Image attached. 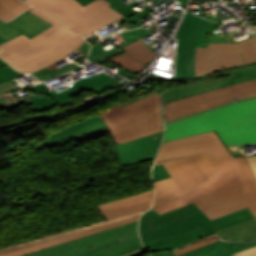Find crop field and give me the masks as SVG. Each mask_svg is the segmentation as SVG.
Here are the masks:
<instances>
[{"label":"crop field","instance_id":"crop-field-35","mask_svg":"<svg viewBox=\"0 0 256 256\" xmlns=\"http://www.w3.org/2000/svg\"><path fill=\"white\" fill-rule=\"evenodd\" d=\"M214 25L215 23L207 21V23L205 24V26L203 27L200 33L196 46H205V47L207 46Z\"/></svg>","mask_w":256,"mask_h":256},{"label":"crop field","instance_id":"crop-field-3","mask_svg":"<svg viewBox=\"0 0 256 256\" xmlns=\"http://www.w3.org/2000/svg\"><path fill=\"white\" fill-rule=\"evenodd\" d=\"M212 130L225 145L256 142V99L167 123L163 142Z\"/></svg>","mask_w":256,"mask_h":256},{"label":"crop field","instance_id":"crop-field-19","mask_svg":"<svg viewBox=\"0 0 256 256\" xmlns=\"http://www.w3.org/2000/svg\"><path fill=\"white\" fill-rule=\"evenodd\" d=\"M141 248L143 246L136 231L101 246L89 248L69 256H121Z\"/></svg>","mask_w":256,"mask_h":256},{"label":"crop field","instance_id":"crop-field-20","mask_svg":"<svg viewBox=\"0 0 256 256\" xmlns=\"http://www.w3.org/2000/svg\"><path fill=\"white\" fill-rule=\"evenodd\" d=\"M187 156H190L192 158V160L197 164V166L201 169V171L206 175L207 178L211 177L214 173L220 171L229 162L233 160V157L228 151V149L187 155ZM187 156L158 160L155 163L187 157Z\"/></svg>","mask_w":256,"mask_h":256},{"label":"crop field","instance_id":"crop-field-24","mask_svg":"<svg viewBox=\"0 0 256 256\" xmlns=\"http://www.w3.org/2000/svg\"><path fill=\"white\" fill-rule=\"evenodd\" d=\"M139 216L140 215L134 216V217H131V218H128V219H125V220H121V221H118V222H115V223H112V224H109V225H105V226H102V227H98V228H95V229H91V230H87V231H84V232L73 234V235H70V236H67V237H63V238H60V239H57V240H53V241H50V242H47V243H43V244L35 245V246H32V247H28V248H25V249H22V250H19V251H15V252H12V253H9V254H6V255H2V256H21V255H24V254H28V253H31L33 251H36V250H39V249H42V248H46V247H50V246L58 244V243L78 239V238H81V237H84V236H87V235H90V234H93V233H96V232H99V231H102V230H105V229H109V228H112V227H115V226H119V225H122V224H125V223H128V222L137 220L139 218Z\"/></svg>","mask_w":256,"mask_h":256},{"label":"crop field","instance_id":"crop-field-1","mask_svg":"<svg viewBox=\"0 0 256 256\" xmlns=\"http://www.w3.org/2000/svg\"><path fill=\"white\" fill-rule=\"evenodd\" d=\"M206 196L200 188L180 199L155 207L140 218L142 241L185 233L200 227L204 237L215 230L252 219L246 209L211 221L193 202Z\"/></svg>","mask_w":256,"mask_h":256},{"label":"crop field","instance_id":"crop-field-51","mask_svg":"<svg viewBox=\"0 0 256 256\" xmlns=\"http://www.w3.org/2000/svg\"><path fill=\"white\" fill-rule=\"evenodd\" d=\"M178 1H182V2H181V5H182L183 8L186 7L187 2H188V0H178Z\"/></svg>","mask_w":256,"mask_h":256},{"label":"crop field","instance_id":"crop-field-17","mask_svg":"<svg viewBox=\"0 0 256 256\" xmlns=\"http://www.w3.org/2000/svg\"><path fill=\"white\" fill-rule=\"evenodd\" d=\"M51 25L27 10L9 23L0 20V34L8 40L21 33L31 38Z\"/></svg>","mask_w":256,"mask_h":256},{"label":"crop field","instance_id":"crop-field-28","mask_svg":"<svg viewBox=\"0 0 256 256\" xmlns=\"http://www.w3.org/2000/svg\"><path fill=\"white\" fill-rule=\"evenodd\" d=\"M30 7L20 0H0V19L9 21Z\"/></svg>","mask_w":256,"mask_h":256},{"label":"crop field","instance_id":"crop-field-23","mask_svg":"<svg viewBox=\"0 0 256 256\" xmlns=\"http://www.w3.org/2000/svg\"><path fill=\"white\" fill-rule=\"evenodd\" d=\"M247 210L254 219L217 230V234L222 239L229 241H256V217L249 208Z\"/></svg>","mask_w":256,"mask_h":256},{"label":"crop field","instance_id":"crop-field-52","mask_svg":"<svg viewBox=\"0 0 256 256\" xmlns=\"http://www.w3.org/2000/svg\"><path fill=\"white\" fill-rule=\"evenodd\" d=\"M5 41H7V40L0 35V44L5 42Z\"/></svg>","mask_w":256,"mask_h":256},{"label":"crop field","instance_id":"crop-field-6","mask_svg":"<svg viewBox=\"0 0 256 256\" xmlns=\"http://www.w3.org/2000/svg\"><path fill=\"white\" fill-rule=\"evenodd\" d=\"M24 1L77 29L83 37L94 34L93 30L124 17L108 7L107 5L110 3L105 0H96L84 7L76 0Z\"/></svg>","mask_w":256,"mask_h":256},{"label":"crop field","instance_id":"crop-field-46","mask_svg":"<svg viewBox=\"0 0 256 256\" xmlns=\"http://www.w3.org/2000/svg\"><path fill=\"white\" fill-rule=\"evenodd\" d=\"M247 158H248V161H249L253 171L256 174V156H248Z\"/></svg>","mask_w":256,"mask_h":256},{"label":"crop field","instance_id":"crop-field-27","mask_svg":"<svg viewBox=\"0 0 256 256\" xmlns=\"http://www.w3.org/2000/svg\"><path fill=\"white\" fill-rule=\"evenodd\" d=\"M154 196V189L145 191L139 194H135L129 197H125L116 201H112L106 204L97 206L100 212L104 213L107 211L115 210L118 208L126 207L129 205L141 203L144 201L152 200Z\"/></svg>","mask_w":256,"mask_h":256},{"label":"crop field","instance_id":"crop-field-8","mask_svg":"<svg viewBox=\"0 0 256 256\" xmlns=\"http://www.w3.org/2000/svg\"><path fill=\"white\" fill-rule=\"evenodd\" d=\"M251 96H256V80L168 102L164 104L165 121Z\"/></svg>","mask_w":256,"mask_h":256},{"label":"crop field","instance_id":"crop-field-55","mask_svg":"<svg viewBox=\"0 0 256 256\" xmlns=\"http://www.w3.org/2000/svg\"><path fill=\"white\" fill-rule=\"evenodd\" d=\"M246 1H250V0H246Z\"/></svg>","mask_w":256,"mask_h":256},{"label":"crop field","instance_id":"crop-field-4","mask_svg":"<svg viewBox=\"0 0 256 256\" xmlns=\"http://www.w3.org/2000/svg\"><path fill=\"white\" fill-rule=\"evenodd\" d=\"M100 115L116 145L164 130L162 101L158 91L124 106L118 103Z\"/></svg>","mask_w":256,"mask_h":256},{"label":"crop field","instance_id":"crop-field-12","mask_svg":"<svg viewBox=\"0 0 256 256\" xmlns=\"http://www.w3.org/2000/svg\"><path fill=\"white\" fill-rule=\"evenodd\" d=\"M224 148L223 142L212 131L163 143L156 160Z\"/></svg>","mask_w":256,"mask_h":256},{"label":"crop field","instance_id":"crop-field-16","mask_svg":"<svg viewBox=\"0 0 256 256\" xmlns=\"http://www.w3.org/2000/svg\"><path fill=\"white\" fill-rule=\"evenodd\" d=\"M159 164L164 165L182 192L207 179L190 157L157 163L155 165Z\"/></svg>","mask_w":256,"mask_h":256},{"label":"crop field","instance_id":"crop-field-26","mask_svg":"<svg viewBox=\"0 0 256 256\" xmlns=\"http://www.w3.org/2000/svg\"><path fill=\"white\" fill-rule=\"evenodd\" d=\"M105 127H106L105 124L103 123V121H101V122H98V123H95V124H92V125H89V126H86V127H83V128H80V129H77V130H74V131H71L68 133H65V134L58 136L54 139H51L47 142L41 143L33 148L38 150L47 145L50 149H52L68 140L74 139L78 136H81V135H84V134H87V133H90V132H93V131H96V130H99V129H102Z\"/></svg>","mask_w":256,"mask_h":256},{"label":"crop field","instance_id":"crop-field-34","mask_svg":"<svg viewBox=\"0 0 256 256\" xmlns=\"http://www.w3.org/2000/svg\"><path fill=\"white\" fill-rule=\"evenodd\" d=\"M23 75L24 73L15 72L6 63L0 60V83Z\"/></svg>","mask_w":256,"mask_h":256},{"label":"crop field","instance_id":"crop-field-32","mask_svg":"<svg viewBox=\"0 0 256 256\" xmlns=\"http://www.w3.org/2000/svg\"><path fill=\"white\" fill-rule=\"evenodd\" d=\"M101 120L102 119H101L100 115H98V116H95V117H92V118H89V119L77 122V123H75V124H73V125H71L69 127L63 128L61 130H58V131H55V132L49 134L44 141H47V140H49L51 138H54V137H56L58 135H61V134L65 133V132H68V131H71V130H74V129H77V128H80V127H83V126H86V125H89V124L101 121Z\"/></svg>","mask_w":256,"mask_h":256},{"label":"crop field","instance_id":"crop-field-31","mask_svg":"<svg viewBox=\"0 0 256 256\" xmlns=\"http://www.w3.org/2000/svg\"><path fill=\"white\" fill-rule=\"evenodd\" d=\"M152 201H148V202L133 205L130 207L107 212V213H104V216L107 218V220H109V219L117 218V217L124 216L127 214L135 213L138 211L146 210V209L150 208Z\"/></svg>","mask_w":256,"mask_h":256},{"label":"crop field","instance_id":"crop-field-25","mask_svg":"<svg viewBox=\"0 0 256 256\" xmlns=\"http://www.w3.org/2000/svg\"><path fill=\"white\" fill-rule=\"evenodd\" d=\"M143 212L144 211L138 212V213H135V214H131V215H128V216L120 217V218H117V219L105 221V222H100V223H95V224H90V225H86V226H83V227L75 228V229H72L70 231L54 234L52 236L42 237V238H39V239L34 240V241H30V242H26V243H21V244L9 246V247L1 248L0 249V255L9 253V252H12V251H15V250H19V249H22V248H25V247H28V246H32V245H35V244H38V243L50 241V240L57 239V238H60V237H63V236H67V235H70V234H73V233L84 231V230H87V229H91V228H95V227L102 226V225H105V224H109V223H112V222H115V221H118V220H121V219H125V218H128V217L134 216V215L141 214Z\"/></svg>","mask_w":256,"mask_h":256},{"label":"crop field","instance_id":"crop-field-15","mask_svg":"<svg viewBox=\"0 0 256 256\" xmlns=\"http://www.w3.org/2000/svg\"><path fill=\"white\" fill-rule=\"evenodd\" d=\"M239 175L237 168L235 166L234 161H232L230 164H228L224 169H222L220 172L217 174L213 175L211 178L205 180L203 183L200 185L189 189L185 192H181V190L178 188V186L175 184V182L170 179H166L163 181L155 182V190H156V196L155 198L162 196L166 193H169L173 191L178 197H181L199 187H201L205 193L208 195L220 186L224 185L234 177Z\"/></svg>","mask_w":256,"mask_h":256},{"label":"crop field","instance_id":"crop-field-43","mask_svg":"<svg viewBox=\"0 0 256 256\" xmlns=\"http://www.w3.org/2000/svg\"><path fill=\"white\" fill-rule=\"evenodd\" d=\"M119 70H120V71H119L118 73H120V74H122V75L128 77V78L131 79V80L137 75V73L132 72V71H130V70H128V69H125V68H123V69L120 68Z\"/></svg>","mask_w":256,"mask_h":256},{"label":"crop field","instance_id":"crop-field-33","mask_svg":"<svg viewBox=\"0 0 256 256\" xmlns=\"http://www.w3.org/2000/svg\"><path fill=\"white\" fill-rule=\"evenodd\" d=\"M219 240V237L217 236H212V237H208V238H204L202 240H199L193 244H190L188 246H185L181 249H178V250H175V251H172L174 254H176L177 256L181 255V254H184L186 252H189L191 250H194L196 248H199V247H202L204 245H207L209 243H212L214 241H217Z\"/></svg>","mask_w":256,"mask_h":256},{"label":"crop field","instance_id":"crop-field-21","mask_svg":"<svg viewBox=\"0 0 256 256\" xmlns=\"http://www.w3.org/2000/svg\"><path fill=\"white\" fill-rule=\"evenodd\" d=\"M203 238L200 229L190 231L185 234L169 236L144 242L145 248L152 252L174 250L190 242Z\"/></svg>","mask_w":256,"mask_h":256},{"label":"crop field","instance_id":"crop-field-45","mask_svg":"<svg viewBox=\"0 0 256 256\" xmlns=\"http://www.w3.org/2000/svg\"><path fill=\"white\" fill-rule=\"evenodd\" d=\"M256 245V244H255ZM252 246H254V245H252ZM252 246H250V247H252ZM247 248H249V247H247ZM244 249H246V248H244ZM241 250H243V249H241ZM240 251V250H239ZM236 252H238V251H236ZM236 252H233V253H231V254H234V253H236ZM231 254H228V255H225V256H229V255H231ZM152 256H175L172 252H165V253H156V254H153Z\"/></svg>","mask_w":256,"mask_h":256},{"label":"crop field","instance_id":"crop-field-38","mask_svg":"<svg viewBox=\"0 0 256 256\" xmlns=\"http://www.w3.org/2000/svg\"><path fill=\"white\" fill-rule=\"evenodd\" d=\"M224 242H225V241L219 240V241H217V242H214V243H212V244H209V245L204 246V247H202V248L196 249V250H194V251H191V252L186 253V254L181 255V256H193V255H196V254H198V253H200V252H203V251H205V250H207V249H210V248H212V247H214V246H217V245H219V244H222V243H224Z\"/></svg>","mask_w":256,"mask_h":256},{"label":"crop field","instance_id":"crop-field-48","mask_svg":"<svg viewBox=\"0 0 256 256\" xmlns=\"http://www.w3.org/2000/svg\"><path fill=\"white\" fill-rule=\"evenodd\" d=\"M251 98H256V97H251ZM247 99H250V98H247ZM243 100H245V99H243ZM240 101V100H239ZM230 103H234V101H232V102H230ZM230 103H227V104H230ZM227 104H223V105H220V106H216V107H213V108H210V109H214V108H218V107H221V106H224V105H227ZM210 109H207V110H210ZM207 110H204V111H207ZM201 112H203V111H201ZM201 112H198V113H195V114H199V113H201ZM195 114H192V115H195ZM188 116H191V115H188ZM185 117H187V116H185ZM181 118H183V117H181ZM179 119V118H178ZM174 120H176V119H174ZM171 121H173V120H171ZM167 122H170V121H167ZM167 122H165V123H167Z\"/></svg>","mask_w":256,"mask_h":256},{"label":"crop field","instance_id":"crop-field-49","mask_svg":"<svg viewBox=\"0 0 256 256\" xmlns=\"http://www.w3.org/2000/svg\"><path fill=\"white\" fill-rule=\"evenodd\" d=\"M145 253V250L144 249H141V250H139V251H136V252H134V253H132V254H128V255H126V256H140V255H142V254H144Z\"/></svg>","mask_w":256,"mask_h":256},{"label":"crop field","instance_id":"crop-field-37","mask_svg":"<svg viewBox=\"0 0 256 256\" xmlns=\"http://www.w3.org/2000/svg\"><path fill=\"white\" fill-rule=\"evenodd\" d=\"M249 145H256V143H254V144H243V145H240L239 148L235 147L237 145H231V146H226V147L229 149V151L231 152L233 157H237V156H243L242 153H245L244 146H249Z\"/></svg>","mask_w":256,"mask_h":256},{"label":"crop field","instance_id":"crop-field-47","mask_svg":"<svg viewBox=\"0 0 256 256\" xmlns=\"http://www.w3.org/2000/svg\"><path fill=\"white\" fill-rule=\"evenodd\" d=\"M225 37H226L225 35H223V36L211 37L209 42H227V41L225 40Z\"/></svg>","mask_w":256,"mask_h":256},{"label":"crop field","instance_id":"crop-field-54","mask_svg":"<svg viewBox=\"0 0 256 256\" xmlns=\"http://www.w3.org/2000/svg\"><path fill=\"white\" fill-rule=\"evenodd\" d=\"M253 15H256V13H254Z\"/></svg>","mask_w":256,"mask_h":256},{"label":"crop field","instance_id":"crop-field-5","mask_svg":"<svg viewBox=\"0 0 256 256\" xmlns=\"http://www.w3.org/2000/svg\"><path fill=\"white\" fill-rule=\"evenodd\" d=\"M239 176L195 204L211 219L249 207L256 216V177L246 157L234 158Z\"/></svg>","mask_w":256,"mask_h":256},{"label":"crop field","instance_id":"crop-field-11","mask_svg":"<svg viewBox=\"0 0 256 256\" xmlns=\"http://www.w3.org/2000/svg\"><path fill=\"white\" fill-rule=\"evenodd\" d=\"M137 226H138V220L116 227V228L102 231L78 240L58 244L47 249L39 250L34 253H31L28 255L24 254V255L25 256H66L89 247L101 245L115 238L134 232L137 230Z\"/></svg>","mask_w":256,"mask_h":256},{"label":"crop field","instance_id":"crop-field-53","mask_svg":"<svg viewBox=\"0 0 256 256\" xmlns=\"http://www.w3.org/2000/svg\"><path fill=\"white\" fill-rule=\"evenodd\" d=\"M252 25V24H251ZM256 29V25H252Z\"/></svg>","mask_w":256,"mask_h":256},{"label":"crop field","instance_id":"crop-field-40","mask_svg":"<svg viewBox=\"0 0 256 256\" xmlns=\"http://www.w3.org/2000/svg\"><path fill=\"white\" fill-rule=\"evenodd\" d=\"M232 256H256V246L240 251Z\"/></svg>","mask_w":256,"mask_h":256},{"label":"crop field","instance_id":"crop-field-14","mask_svg":"<svg viewBox=\"0 0 256 256\" xmlns=\"http://www.w3.org/2000/svg\"><path fill=\"white\" fill-rule=\"evenodd\" d=\"M163 131L116 146L122 165L152 160L159 148Z\"/></svg>","mask_w":256,"mask_h":256},{"label":"crop field","instance_id":"crop-field-10","mask_svg":"<svg viewBox=\"0 0 256 256\" xmlns=\"http://www.w3.org/2000/svg\"><path fill=\"white\" fill-rule=\"evenodd\" d=\"M226 75L229 74L230 77L212 80L208 82L199 81L190 83L188 85L171 89L163 94L164 103L168 101H173L179 98L188 97L194 94L234 85L237 83L245 82L248 80L256 79V64L221 72L215 75ZM226 82V84H225Z\"/></svg>","mask_w":256,"mask_h":256},{"label":"crop field","instance_id":"crop-field-56","mask_svg":"<svg viewBox=\"0 0 256 256\" xmlns=\"http://www.w3.org/2000/svg\"><path fill=\"white\" fill-rule=\"evenodd\" d=\"M148 256H150V255H148Z\"/></svg>","mask_w":256,"mask_h":256},{"label":"crop field","instance_id":"crop-field-2","mask_svg":"<svg viewBox=\"0 0 256 256\" xmlns=\"http://www.w3.org/2000/svg\"><path fill=\"white\" fill-rule=\"evenodd\" d=\"M28 10L54 25L31 39L22 34L0 45V57L16 70L37 71L67 57L85 41L74 29L35 8Z\"/></svg>","mask_w":256,"mask_h":256},{"label":"crop field","instance_id":"crop-field-41","mask_svg":"<svg viewBox=\"0 0 256 256\" xmlns=\"http://www.w3.org/2000/svg\"><path fill=\"white\" fill-rule=\"evenodd\" d=\"M90 45L85 41L79 48L80 50L78 53H80V57H87L88 52H89Z\"/></svg>","mask_w":256,"mask_h":256},{"label":"crop field","instance_id":"crop-field-30","mask_svg":"<svg viewBox=\"0 0 256 256\" xmlns=\"http://www.w3.org/2000/svg\"><path fill=\"white\" fill-rule=\"evenodd\" d=\"M70 67H71V69H75V68H78V67H80V66H78V65H76V64H74V63H70V65L67 64V65L62 66V67H60V68H57V67L55 66V64H52V65H50V66H48V67H46V68H43V69H41V70H39V71H37V72H34V73H32V74H33L35 77H37L39 80L44 81V80H46V79H49V78H52V77L57 76V75H59V74L65 73V72H67V71H70V70L68 69V68H70Z\"/></svg>","mask_w":256,"mask_h":256},{"label":"crop field","instance_id":"crop-field-9","mask_svg":"<svg viewBox=\"0 0 256 256\" xmlns=\"http://www.w3.org/2000/svg\"><path fill=\"white\" fill-rule=\"evenodd\" d=\"M205 23L206 20L187 12L176 36L180 39L177 46L176 77L196 76L194 72L195 45Z\"/></svg>","mask_w":256,"mask_h":256},{"label":"crop field","instance_id":"crop-field-22","mask_svg":"<svg viewBox=\"0 0 256 256\" xmlns=\"http://www.w3.org/2000/svg\"><path fill=\"white\" fill-rule=\"evenodd\" d=\"M149 33H151L150 31L144 29V28H141V29H136V30H132V31H129V32H125V33H122L120 34L123 39L126 41L118 46H115L109 50H105L103 47L109 45V43L107 44H104V45H100L98 42L94 43L93 47H92V50L90 52V55H89V60L91 61H95V62H102L114 55H117L119 53H122L124 52L122 49H120L119 47L127 44V43H130L138 38H141V37H144L146 35H148ZM94 62V63H95Z\"/></svg>","mask_w":256,"mask_h":256},{"label":"crop field","instance_id":"crop-field-50","mask_svg":"<svg viewBox=\"0 0 256 256\" xmlns=\"http://www.w3.org/2000/svg\"><path fill=\"white\" fill-rule=\"evenodd\" d=\"M79 3H81L83 6L94 1V0H77Z\"/></svg>","mask_w":256,"mask_h":256},{"label":"crop field","instance_id":"crop-field-13","mask_svg":"<svg viewBox=\"0 0 256 256\" xmlns=\"http://www.w3.org/2000/svg\"><path fill=\"white\" fill-rule=\"evenodd\" d=\"M120 77H116L113 80L110 79L106 74L101 73L98 75H94L88 78L80 79L73 83L72 88L56 93L54 90L50 91L47 86L43 83L35 85L33 87L27 88L26 90L35 91L37 93H42L50 96L52 99L56 101L57 104L64 106L69 104H74L75 102L69 97L77 95L83 91L89 90H109L113 87L108 84L119 79Z\"/></svg>","mask_w":256,"mask_h":256},{"label":"crop field","instance_id":"crop-field-44","mask_svg":"<svg viewBox=\"0 0 256 256\" xmlns=\"http://www.w3.org/2000/svg\"><path fill=\"white\" fill-rule=\"evenodd\" d=\"M136 4H138V2H133L129 5L125 4L118 12H120L121 14H125L127 13L130 9H132Z\"/></svg>","mask_w":256,"mask_h":256},{"label":"crop field","instance_id":"crop-field-7","mask_svg":"<svg viewBox=\"0 0 256 256\" xmlns=\"http://www.w3.org/2000/svg\"><path fill=\"white\" fill-rule=\"evenodd\" d=\"M253 62H256V36L239 43H209L207 48L196 47L197 76Z\"/></svg>","mask_w":256,"mask_h":256},{"label":"crop field","instance_id":"crop-field-18","mask_svg":"<svg viewBox=\"0 0 256 256\" xmlns=\"http://www.w3.org/2000/svg\"><path fill=\"white\" fill-rule=\"evenodd\" d=\"M121 48L126 52L108 60L137 73L142 71L157 55L140 39Z\"/></svg>","mask_w":256,"mask_h":256},{"label":"crop field","instance_id":"crop-field-29","mask_svg":"<svg viewBox=\"0 0 256 256\" xmlns=\"http://www.w3.org/2000/svg\"><path fill=\"white\" fill-rule=\"evenodd\" d=\"M256 242H226L196 256H223L241 248L255 244Z\"/></svg>","mask_w":256,"mask_h":256},{"label":"crop field","instance_id":"crop-field-39","mask_svg":"<svg viewBox=\"0 0 256 256\" xmlns=\"http://www.w3.org/2000/svg\"><path fill=\"white\" fill-rule=\"evenodd\" d=\"M175 198H177V196L173 192H171L169 194H166V195H164L162 197H159V198L155 199V201H154V203L152 205V208L155 207V206H158L160 204H163V203H165L167 201H170L172 199H175Z\"/></svg>","mask_w":256,"mask_h":256},{"label":"crop field","instance_id":"crop-field-36","mask_svg":"<svg viewBox=\"0 0 256 256\" xmlns=\"http://www.w3.org/2000/svg\"><path fill=\"white\" fill-rule=\"evenodd\" d=\"M153 178H154V182H155V181H159L162 179L170 178V175L165 170L163 165H159V166H154V168H153Z\"/></svg>","mask_w":256,"mask_h":256},{"label":"crop field","instance_id":"crop-field-42","mask_svg":"<svg viewBox=\"0 0 256 256\" xmlns=\"http://www.w3.org/2000/svg\"><path fill=\"white\" fill-rule=\"evenodd\" d=\"M107 1L111 3L108 6L112 7L117 11L125 4L121 0H107Z\"/></svg>","mask_w":256,"mask_h":256}]
</instances>
